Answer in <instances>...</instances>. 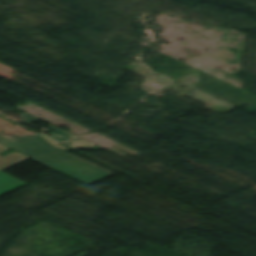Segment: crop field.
Listing matches in <instances>:
<instances>
[{
	"label": "crop field",
	"mask_w": 256,
	"mask_h": 256,
	"mask_svg": "<svg viewBox=\"0 0 256 256\" xmlns=\"http://www.w3.org/2000/svg\"><path fill=\"white\" fill-rule=\"evenodd\" d=\"M0 142L90 184L112 175L67 154L69 149L43 135L23 137L1 135Z\"/></svg>",
	"instance_id": "1"
},
{
	"label": "crop field",
	"mask_w": 256,
	"mask_h": 256,
	"mask_svg": "<svg viewBox=\"0 0 256 256\" xmlns=\"http://www.w3.org/2000/svg\"><path fill=\"white\" fill-rule=\"evenodd\" d=\"M27 183L0 171V196H3Z\"/></svg>",
	"instance_id": "2"
},
{
	"label": "crop field",
	"mask_w": 256,
	"mask_h": 256,
	"mask_svg": "<svg viewBox=\"0 0 256 256\" xmlns=\"http://www.w3.org/2000/svg\"><path fill=\"white\" fill-rule=\"evenodd\" d=\"M8 148L0 145V152L6 150ZM28 158L27 156L21 154V153H18L16 151L4 156V157H1L0 156V170L8 167V166H11L19 161H22L24 159Z\"/></svg>",
	"instance_id": "3"
},
{
	"label": "crop field",
	"mask_w": 256,
	"mask_h": 256,
	"mask_svg": "<svg viewBox=\"0 0 256 256\" xmlns=\"http://www.w3.org/2000/svg\"><path fill=\"white\" fill-rule=\"evenodd\" d=\"M47 127L50 128V129H52V130H54V131L49 135V137H51V138H53V139H55V140H57V141H59V142H64V141H66V140H68V139H70V138H72V137L75 136V135L72 136V135H70V134H68V133H66V132H64V131H62V130H60V129L54 127V126H52V125H49V126H47Z\"/></svg>",
	"instance_id": "4"
},
{
	"label": "crop field",
	"mask_w": 256,
	"mask_h": 256,
	"mask_svg": "<svg viewBox=\"0 0 256 256\" xmlns=\"http://www.w3.org/2000/svg\"><path fill=\"white\" fill-rule=\"evenodd\" d=\"M64 145H66L68 147H71V148H73L75 150H80V149H85V148H87V147H89V146H91L93 144H91V143H89L87 141H84V140H82L80 138H77V139H75V140H73L71 142H68V143L64 144Z\"/></svg>",
	"instance_id": "5"
},
{
	"label": "crop field",
	"mask_w": 256,
	"mask_h": 256,
	"mask_svg": "<svg viewBox=\"0 0 256 256\" xmlns=\"http://www.w3.org/2000/svg\"><path fill=\"white\" fill-rule=\"evenodd\" d=\"M20 116L23 119L21 122H23L25 124H28V125H30V124L34 123L35 121L39 120V119H37V118L27 114V113L21 114Z\"/></svg>",
	"instance_id": "6"
}]
</instances>
